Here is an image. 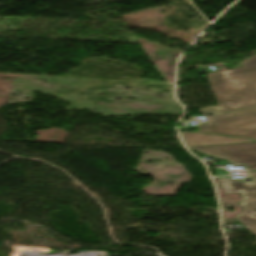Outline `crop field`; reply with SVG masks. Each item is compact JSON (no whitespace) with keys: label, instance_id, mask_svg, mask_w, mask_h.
Listing matches in <instances>:
<instances>
[{"label":"crop field","instance_id":"3","mask_svg":"<svg viewBox=\"0 0 256 256\" xmlns=\"http://www.w3.org/2000/svg\"><path fill=\"white\" fill-rule=\"evenodd\" d=\"M189 149L227 159L231 165H245L247 167L246 170H256V143L194 147Z\"/></svg>","mask_w":256,"mask_h":256},{"label":"crop field","instance_id":"2","mask_svg":"<svg viewBox=\"0 0 256 256\" xmlns=\"http://www.w3.org/2000/svg\"><path fill=\"white\" fill-rule=\"evenodd\" d=\"M253 183H242L229 179L219 180L225 193H242L241 205L244 209L236 218L247 230L256 236V172H248Z\"/></svg>","mask_w":256,"mask_h":256},{"label":"crop field","instance_id":"4","mask_svg":"<svg viewBox=\"0 0 256 256\" xmlns=\"http://www.w3.org/2000/svg\"><path fill=\"white\" fill-rule=\"evenodd\" d=\"M185 144L188 147L205 146V145H218L242 142H255L251 139L228 137L221 135L201 134L195 132H181Z\"/></svg>","mask_w":256,"mask_h":256},{"label":"crop field","instance_id":"1","mask_svg":"<svg viewBox=\"0 0 256 256\" xmlns=\"http://www.w3.org/2000/svg\"><path fill=\"white\" fill-rule=\"evenodd\" d=\"M242 67L207 74L218 106L200 109L206 124L200 132L246 137L256 140V54L241 62Z\"/></svg>","mask_w":256,"mask_h":256}]
</instances>
